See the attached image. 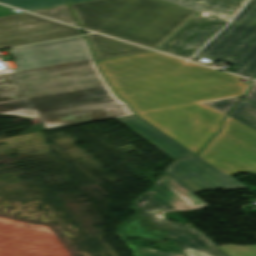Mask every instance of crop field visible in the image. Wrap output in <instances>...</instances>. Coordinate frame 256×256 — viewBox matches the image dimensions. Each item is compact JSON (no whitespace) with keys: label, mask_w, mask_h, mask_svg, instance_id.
I'll return each mask as SVG.
<instances>
[{"label":"crop field","mask_w":256,"mask_h":256,"mask_svg":"<svg viewBox=\"0 0 256 256\" xmlns=\"http://www.w3.org/2000/svg\"><path fill=\"white\" fill-rule=\"evenodd\" d=\"M70 5L82 28L153 49L196 14L159 0H89Z\"/></svg>","instance_id":"3"},{"label":"crop field","mask_w":256,"mask_h":256,"mask_svg":"<svg viewBox=\"0 0 256 256\" xmlns=\"http://www.w3.org/2000/svg\"><path fill=\"white\" fill-rule=\"evenodd\" d=\"M227 22L197 13L158 50L188 59Z\"/></svg>","instance_id":"7"},{"label":"crop field","mask_w":256,"mask_h":256,"mask_svg":"<svg viewBox=\"0 0 256 256\" xmlns=\"http://www.w3.org/2000/svg\"><path fill=\"white\" fill-rule=\"evenodd\" d=\"M12 10L13 9H10V8L4 7V6H0V16L15 14V12H13Z\"/></svg>","instance_id":"22"},{"label":"crop field","mask_w":256,"mask_h":256,"mask_svg":"<svg viewBox=\"0 0 256 256\" xmlns=\"http://www.w3.org/2000/svg\"><path fill=\"white\" fill-rule=\"evenodd\" d=\"M229 22L247 0H162Z\"/></svg>","instance_id":"10"},{"label":"crop field","mask_w":256,"mask_h":256,"mask_svg":"<svg viewBox=\"0 0 256 256\" xmlns=\"http://www.w3.org/2000/svg\"><path fill=\"white\" fill-rule=\"evenodd\" d=\"M132 205L181 250L190 248L206 256H228L201 232L189 229L182 224L156 219L149 210L162 209L171 212L175 210L150 189L137 198Z\"/></svg>","instance_id":"5"},{"label":"crop field","mask_w":256,"mask_h":256,"mask_svg":"<svg viewBox=\"0 0 256 256\" xmlns=\"http://www.w3.org/2000/svg\"><path fill=\"white\" fill-rule=\"evenodd\" d=\"M239 99H240V97H236V98L206 102V104L227 114L230 111V109L237 103V101Z\"/></svg>","instance_id":"18"},{"label":"crop field","mask_w":256,"mask_h":256,"mask_svg":"<svg viewBox=\"0 0 256 256\" xmlns=\"http://www.w3.org/2000/svg\"><path fill=\"white\" fill-rule=\"evenodd\" d=\"M220 248L229 256H256V246L238 247L224 245Z\"/></svg>","instance_id":"17"},{"label":"crop field","mask_w":256,"mask_h":256,"mask_svg":"<svg viewBox=\"0 0 256 256\" xmlns=\"http://www.w3.org/2000/svg\"><path fill=\"white\" fill-rule=\"evenodd\" d=\"M119 121L174 160L194 154L139 116L119 119Z\"/></svg>","instance_id":"8"},{"label":"crop field","mask_w":256,"mask_h":256,"mask_svg":"<svg viewBox=\"0 0 256 256\" xmlns=\"http://www.w3.org/2000/svg\"><path fill=\"white\" fill-rule=\"evenodd\" d=\"M0 3L8 4L26 11L64 4V0H0Z\"/></svg>","instance_id":"14"},{"label":"crop field","mask_w":256,"mask_h":256,"mask_svg":"<svg viewBox=\"0 0 256 256\" xmlns=\"http://www.w3.org/2000/svg\"><path fill=\"white\" fill-rule=\"evenodd\" d=\"M187 256H204V255H202V254H200V253H198V252H196V251H194V250H190V249H188V250H186V251H183Z\"/></svg>","instance_id":"23"},{"label":"crop field","mask_w":256,"mask_h":256,"mask_svg":"<svg viewBox=\"0 0 256 256\" xmlns=\"http://www.w3.org/2000/svg\"><path fill=\"white\" fill-rule=\"evenodd\" d=\"M228 116L256 131V105L242 99Z\"/></svg>","instance_id":"13"},{"label":"crop field","mask_w":256,"mask_h":256,"mask_svg":"<svg viewBox=\"0 0 256 256\" xmlns=\"http://www.w3.org/2000/svg\"><path fill=\"white\" fill-rule=\"evenodd\" d=\"M184 167L188 168L190 171L195 173L197 176L202 178L204 181H206L216 189L222 187L215 184L211 180L223 186L224 188L222 189L242 188V186L234 181L232 178L218 171L213 166H211L206 161L196 155L174 162L171 166L168 167L167 171L165 172L192 193L209 190L212 187L197 176L191 174L190 171H188Z\"/></svg>","instance_id":"6"},{"label":"crop field","mask_w":256,"mask_h":256,"mask_svg":"<svg viewBox=\"0 0 256 256\" xmlns=\"http://www.w3.org/2000/svg\"><path fill=\"white\" fill-rule=\"evenodd\" d=\"M130 210L136 214L117 228L126 237L143 238L154 242H163L164 239L170 241L132 205Z\"/></svg>","instance_id":"12"},{"label":"crop field","mask_w":256,"mask_h":256,"mask_svg":"<svg viewBox=\"0 0 256 256\" xmlns=\"http://www.w3.org/2000/svg\"><path fill=\"white\" fill-rule=\"evenodd\" d=\"M150 189L177 211H195L208 207L165 173Z\"/></svg>","instance_id":"9"},{"label":"crop field","mask_w":256,"mask_h":256,"mask_svg":"<svg viewBox=\"0 0 256 256\" xmlns=\"http://www.w3.org/2000/svg\"><path fill=\"white\" fill-rule=\"evenodd\" d=\"M81 34L26 13L0 17V48ZM0 74V114L38 117L45 129L133 115L99 73L83 36L10 49Z\"/></svg>","instance_id":"2"},{"label":"crop field","mask_w":256,"mask_h":256,"mask_svg":"<svg viewBox=\"0 0 256 256\" xmlns=\"http://www.w3.org/2000/svg\"><path fill=\"white\" fill-rule=\"evenodd\" d=\"M33 13H37L46 17H50L56 20H60L66 23H70L73 25H76L74 22V19L68 9L67 4L65 5H59V6H55L52 8H47V9H38V10H34V11H30Z\"/></svg>","instance_id":"15"},{"label":"crop field","mask_w":256,"mask_h":256,"mask_svg":"<svg viewBox=\"0 0 256 256\" xmlns=\"http://www.w3.org/2000/svg\"><path fill=\"white\" fill-rule=\"evenodd\" d=\"M233 23L256 30V0H251Z\"/></svg>","instance_id":"16"},{"label":"crop field","mask_w":256,"mask_h":256,"mask_svg":"<svg viewBox=\"0 0 256 256\" xmlns=\"http://www.w3.org/2000/svg\"><path fill=\"white\" fill-rule=\"evenodd\" d=\"M196 57L227 61L239 66L233 73L254 78L256 32L231 23L192 59Z\"/></svg>","instance_id":"4"},{"label":"crop field","mask_w":256,"mask_h":256,"mask_svg":"<svg viewBox=\"0 0 256 256\" xmlns=\"http://www.w3.org/2000/svg\"><path fill=\"white\" fill-rule=\"evenodd\" d=\"M86 38L97 61L151 51L96 34L86 35Z\"/></svg>","instance_id":"11"},{"label":"crop field","mask_w":256,"mask_h":256,"mask_svg":"<svg viewBox=\"0 0 256 256\" xmlns=\"http://www.w3.org/2000/svg\"><path fill=\"white\" fill-rule=\"evenodd\" d=\"M118 238L125 244V246L133 253V256H142L133 246L131 243H127L124 240V237L122 234H120L119 232L116 233Z\"/></svg>","instance_id":"21"},{"label":"crop field","mask_w":256,"mask_h":256,"mask_svg":"<svg viewBox=\"0 0 256 256\" xmlns=\"http://www.w3.org/2000/svg\"><path fill=\"white\" fill-rule=\"evenodd\" d=\"M164 212H166V211H161V210L151 211V213H153L156 216V218L163 219V220H164V218H163Z\"/></svg>","instance_id":"24"},{"label":"crop field","mask_w":256,"mask_h":256,"mask_svg":"<svg viewBox=\"0 0 256 256\" xmlns=\"http://www.w3.org/2000/svg\"><path fill=\"white\" fill-rule=\"evenodd\" d=\"M244 99L256 104V82L252 81V87L250 88Z\"/></svg>","instance_id":"20"},{"label":"crop field","mask_w":256,"mask_h":256,"mask_svg":"<svg viewBox=\"0 0 256 256\" xmlns=\"http://www.w3.org/2000/svg\"><path fill=\"white\" fill-rule=\"evenodd\" d=\"M186 63L156 52L98 62L139 116L196 154L225 115L201 101L241 95L247 85L243 78ZM199 156L229 176L256 174V132L227 116Z\"/></svg>","instance_id":"1"},{"label":"crop field","mask_w":256,"mask_h":256,"mask_svg":"<svg viewBox=\"0 0 256 256\" xmlns=\"http://www.w3.org/2000/svg\"><path fill=\"white\" fill-rule=\"evenodd\" d=\"M145 256H186L184 253H167L144 247H137Z\"/></svg>","instance_id":"19"},{"label":"crop field","mask_w":256,"mask_h":256,"mask_svg":"<svg viewBox=\"0 0 256 256\" xmlns=\"http://www.w3.org/2000/svg\"><path fill=\"white\" fill-rule=\"evenodd\" d=\"M68 3H71V2H77V1H83V0H67Z\"/></svg>","instance_id":"25"}]
</instances>
